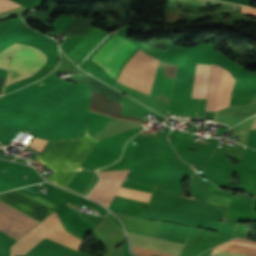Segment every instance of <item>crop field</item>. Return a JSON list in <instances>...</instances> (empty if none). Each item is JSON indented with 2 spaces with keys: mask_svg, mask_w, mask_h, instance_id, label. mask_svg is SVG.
Returning <instances> with one entry per match:
<instances>
[{
  "mask_svg": "<svg viewBox=\"0 0 256 256\" xmlns=\"http://www.w3.org/2000/svg\"><path fill=\"white\" fill-rule=\"evenodd\" d=\"M110 250L115 248V245L122 241L124 232L119 227L114 225L108 219H104L92 231Z\"/></svg>",
  "mask_w": 256,
  "mask_h": 256,
  "instance_id": "dd49c442",
  "label": "crop field"
},
{
  "mask_svg": "<svg viewBox=\"0 0 256 256\" xmlns=\"http://www.w3.org/2000/svg\"><path fill=\"white\" fill-rule=\"evenodd\" d=\"M137 49L129 40L116 34L92 60L114 78L122 63ZM177 67L176 64L160 61L161 72L171 78L175 79ZM160 70L158 59L138 49L123 63L115 79L152 97L165 94L171 101L175 80L166 77ZM165 95H157L155 98L169 103Z\"/></svg>",
  "mask_w": 256,
  "mask_h": 256,
  "instance_id": "8a807250",
  "label": "crop field"
},
{
  "mask_svg": "<svg viewBox=\"0 0 256 256\" xmlns=\"http://www.w3.org/2000/svg\"><path fill=\"white\" fill-rule=\"evenodd\" d=\"M128 234L133 251L142 256H151L153 253L162 256H177L182 246L181 243L129 232Z\"/></svg>",
  "mask_w": 256,
  "mask_h": 256,
  "instance_id": "412701ff",
  "label": "crop field"
},
{
  "mask_svg": "<svg viewBox=\"0 0 256 256\" xmlns=\"http://www.w3.org/2000/svg\"><path fill=\"white\" fill-rule=\"evenodd\" d=\"M211 65L196 64L192 98L207 99Z\"/></svg>",
  "mask_w": 256,
  "mask_h": 256,
  "instance_id": "3316defc",
  "label": "crop field"
},
{
  "mask_svg": "<svg viewBox=\"0 0 256 256\" xmlns=\"http://www.w3.org/2000/svg\"><path fill=\"white\" fill-rule=\"evenodd\" d=\"M121 183L122 181L101 179L88 197L99 201L108 208Z\"/></svg>",
  "mask_w": 256,
  "mask_h": 256,
  "instance_id": "5a996713",
  "label": "crop field"
},
{
  "mask_svg": "<svg viewBox=\"0 0 256 256\" xmlns=\"http://www.w3.org/2000/svg\"><path fill=\"white\" fill-rule=\"evenodd\" d=\"M246 145L256 149V130H250Z\"/></svg>",
  "mask_w": 256,
  "mask_h": 256,
  "instance_id": "d9b57169",
  "label": "crop field"
},
{
  "mask_svg": "<svg viewBox=\"0 0 256 256\" xmlns=\"http://www.w3.org/2000/svg\"><path fill=\"white\" fill-rule=\"evenodd\" d=\"M150 194L149 192L120 187L117 196L148 202Z\"/></svg>",
  "mask_w": 256,
  "mask_h": 256,
  "instance_id": "22f410ed",
  "label": "crop field"
},
{
  "mask_svg": "<svg viewBox=\"0 0 256 256\" xmlns=\"http://www.w3.org/2000/svg\"><path fill=\"white\" fill-rule=\"evenodd\" d=\"M46 143H47L46 140L34 138L29 146H31L41 152V150L43 149V147L45 146Z\"/></svg>",
  "mask_w": 256,
  "mask_h": 256,
  "instance_id": "5142ce71",
  "label": "crop field"
},
{
  "mask_svg": "<svg viewBox=\"0 0 256 256\" xmlns=\"http://www.w3.org/2000/svg\"><path fill=\"white\" fill-rule=\"evenodd\" d=\"M118 216L124 226L126 231L135 232L143 235H148L154 237L161 222L159 221H148L140 218L129 217L121 214L114 213Z\"/></svg>",
  "mask_w": 256,
  "mask_h": 256,
  "instance_id": "e52e79f7",
  "label": "crop field"
},
{
  "mask_svg": "<svg viewBox=\"0 0 256 256\" xmlns=\"http://www.w3.org/2000/svg\"><path fill=\"white\" fill-rule=\"evenodd\" d=\"M216 249L235 252V253H239V254H243V255H247V256H256V250L242 247V246L224 244ZM225 251L214 250L212 255H214V256H242V255L225 252Z\"/></svg>",
  "mask_w": 256,
  "mask_h": 256,
  "instance_id": "d1516ede",
  "label": "crop field"
},
{
  "mask_svg": "<svg viewBox=\"0 0 256 256\" xmlns=\"http://www.w3.org/2000/svg\"><path fill=\"white\" fill-rule=\"evenodd\" d=\"M45 237L63 243L77 250L82 242V240L64 229L54 211L45 220H43L40 224L14 243L11 248V256L25 254Z\"/></svg>",
  "mask_w": 256,
  "mask_h": 256,
  "instance_id": "34b2d1b8",
  "label": "crop field"
},
{
  "mask_svg": "<svg viewBox=\"0 0 256 256\" xmlns=\"http://www.w3.org/2000/svg\"><path fill=\"white\" fill-rule=\"evenodd\" d=\"M223 70H224L223 68L212 64L210 89H209V96H208L206 110L213 111L214 105H216V103H217L216 96H217L218 87H219V83H220V79H221ZM215 108H216V106H215ZM214 111H215V109H214Z\"/></svg>",
  "mask_w": 256,
  "mask_h": 256,
  "instance_id": "28ad6ade",
  "label": "crop field"
},
{
  "mask_svg": "<svg viewBox=\"0 0 256 256\" xmlns=\"http://www.w3.org/2000/svg\"><path fill=\"white\" fill-rule=\"evenodd\" d=\"M128 172L129 170H118V171L98 172V174L102 178H110L114 180H125Z\"/></svg>",
  "mask_w": 256,
  "mask_h": 256,
  "instance_id": "cbeb9de0",
  "label": "crop field"
},
{
  "mask_svg": "<svg viewBox=\"0 0 256 256\" xmlns=\"http://www.w3.org/2000/svg\"><path fill=\"white\" fill-rule=\"evenodd\" d=\"M251 129H256V119H255V121H254V123H253Z\"/></svg>",
  "mask_w": 256,
  "mask_h": 256,
  "instance_id": "bc2a9ffb",
  "label": "crop field"
},
{
  "mask_svg": "<svg viewBox=\"0 0 256 256\" xmlns=\"http://www.w3.org/2000/svg\"><path fill=\"white\" fill-rule=\"evenodd\" d=\"M121 108H122L121 105H119V104H117V103H115V102H113L109 99H106V98H104V97H102V96H100V95L91 91V102H90L89 109L95 110V111H98V112H102V113H105V114H109V115H112V116H116V117H119V118L140 122V119H137V118H130V117L120 116Z\"/></svg>",
  "mask_w": 256,
  "mask_h": 256,
  "instance_id": "d8731c3e",
  "label": "crop field"
},
{
  "mask_svg": "<svg viewBox=\"0 0 256 256\" xmlns=\"http://www.w3.org/2000/svg\"><path fill=\"white\" fill-rule=\"evenodd\" d=\"M39 222L0 202V230L19 239Z\"/></svg>",
  "mask_w": 256,
  "mask_h": 256,
  "instance_id": "f4fd0767",
  "label": "crop field"
},
{
  "mask_svg": "<svg viewBox=\"0 0 256 256\" xmlns=\"http://www.w3.org/2000/svg\"><path fill=\"white\" fill-rule=\"evenodd\" d=\"M241 12L256 16V10L252 9V8H249V7L243 6L242 9H241Z\"/></svg>",
  "mask_w": 256,
  "mask_h": 256,
  "instance_id": "4a817a6b",
  "label": "crop field"
},
{
  "mask_svg": "<svg viewBox=\"0 0 256 256\" xmlns=\"http://www.w3.org/2000/svg\"><path fill=\"white\" fill-rule=\"evenodd\" d=\"M9 58L11 60L5 86L31 77L47 61L46 54L38 48L19 43H14L0 52V68L7 70Z\"/></svg>",
  "mask_w": 256,
  "mask_h": 256,
  "instance_id": "ac0d7876",
  "label": "crop field"
},
{
  "mask_svg": "<svg viewBox=\"0 0 256 256\" xmlns=\"http://www.w3.org/2000/svg\"><path fill=\"white\" fill-rule=\"evenodd\" d=\"M187 1L210 2V3H216V4H221V5H227V6L240 8V6H238V5H233V4H228V3H223V2L213 1V0H187Z\"/></svg>",
  "mask_w": 256,
  "mask_h": 256,
  "instance_id": "733c2abd",
  "label": "crop field"
}]
</instances>
